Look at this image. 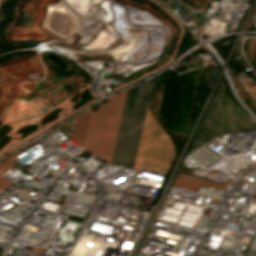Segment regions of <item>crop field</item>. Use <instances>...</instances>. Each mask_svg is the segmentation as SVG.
Instances as JSON below:
<instances>
[{
	"instance_id": "8a807250",
	"label": "crop field",
	"mask_w": 256,
	"mask_h": 256,
	"mask_svg": "<svg viewBox=\"0 0 256 256\" xmlns=\"http://www.w3.org/2000/svg\"><path fill=\"white\" fill-rule=\"evenodd\" d=\"M152 80L128 89L127 94L125 90L107 98L105 104L99 103L98 111L91 112L83 148L110 163L126 94L111 163L130 168ZM173 157V144L151 116L147 103L131 168L161 169L166 173Z\"/></svg>"
},
{
	"instance_id": "ac0d7876",
	"label": "crop field",
	"mask_w": 256,
	"mask_h": 256,
	"mask_svg": "<svg viewBox=\"0 0 256 256\" xmlns=\"http://www.w3.org/2000/svg\"><path fill=\"white\" fill-rule=\"evenodd\" d=\"M243 129L256 128L243 112L226 99L222 89L218 88L189 151L217 135Z\"/></svg>"
},
{
	"instance_id": "34b2d1b8",
	"label": "crop field",
	"mask_w": 256,
	"mask_h": 256,
	"mask_svg": "<svg viewBox=\"0 0 256 256\" xmlns=\"http://www.w3.org/2000/svg\"><path fill=\"white\" fill-rule=\"evenodd\" d=\"M173 185L184 187L194 191L197 190L199 185L216 188L220 190H223L226 186L224 184L203 180V179H199V178H195V177H191L183 174L178 175Z\"/></svg>"
},
{
	"instance_id": "412701ff",
	"label": "crop field",
	"mask_w": 256,
	"mask_h": 256,
	"mask_svg": "<svg viewBox=\"0 0 256 256\" xmlns=\"http://www.w3.org/2000/svg\"><path fill=\"white\" fill-rule=\"evenodd\" d=\"M16 154L17 153L13 154L12 156L8 157L4 162L0 163V174L11 169L14 164ZM10 185H12V183H10L8 180L0 175V189L3 190Z\"/></svg>"
},
{
	"instance_id": "f4fd0767",
	"label": "crop field",
	"mask_w": 256,
	"mask_h": 256,
	"mask_svg": "<svg viewBox=\"0 0 256 256\" xmlns=\"http://www.w3.org/2000/svg\"><path fill=\"white\" fill-rule=\"evenodd\" d=\"M255 44H256V39L252 38L250 41V44L248 46V50H247V54H248L250 60L252 59V53H253Z\"/></svg>"
}]
</instances>
